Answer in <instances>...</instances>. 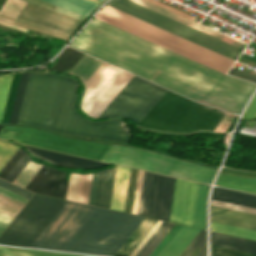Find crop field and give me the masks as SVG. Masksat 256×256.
<instances>
[{
  "label": "crop field",
  "mask_w": 256,
  "mask_h": 256,
  "mask_svg": "<svg viewBox=\"0 0 256 256\" xmlns=\"http://www.w3.org/2000/svg\"><path fill=\"white\" fill-rule=\"evenodd\" d=\"M215 184L256 193V178L220 173Z\"/></svg>",
  "instance_id": "obj_25"
},
{
  "label": "crop field",
  "mask_w": 256,
  "mask_h": 256,
  "mask_svg": "<svg viewBox=\"0 0 256 256\" xmlns=\"http://www.w3.org/2000/svg\"><path fill=\"white\" fill-rule=\"evenodd\" d=\"M24 147L34 157L46 160L56 166L76 168V169H93V168L109 165L99 161L89 160V159L80 158V157H73V156L56 153L52 151L32 148L28 146H24Z\"/></svg>",
  "instance_id": "obj_16"
},
{
  "label": "crop field",
  "mask_w": 256,
  "mask_h": 256,
  "mask_svg": "<svg viewBox=\"0 0 256 256\" xmlns=\"http://www.w3.org/2000/svg\"><path fill=\"white\" fill-rule=\"evenodd\" d=\"M198 183L176 178L169 221L190 225Z\"/></svg>",
  "instance_id": "obj_14"
},
{
  "label": "crop field",
  "mask_w": 256,
  "mask_h": 256,
  "mask_svg": "<svg viewBox=\"0 0 256 256\" xmlns=\"http://www.w3.org/2000/svg\"><path fill=\"white\" fill-rule=\"evenodd\" d=\"M3 126H0V130L2 129Z\"/></svg>",
  "instance_id": "obj_64"
},
{
  "label": "crop field",
  "mask_w": 256,
  "mask_h": 256,
  "mask_svg": "<svg viewBox=\"0 0 256 256\" xmlns=\"http://www.w3.org/2000/svg\"><path fill=\"white\" fill-rule=\"evenodd\" d=\"M24 151L20 147L19 150L14 154V156L9 160V162L4 166V168L0 171V177L5 178L8 172L12 169V167L16 164L19 158L23 155Z\"/></svg>",
  "instance_id": "obj_43"
},
{
  "label": "crop field",
  "mask_w": 256,
  "mask_h": 256,
  "mask_svg": "<svg viewBox=\"0 0 256 256\" xmlns=\"http://www.w3.org/2000/svg\"><path fill=\"white\" fill-rule=\"evenodd\" d=\"M92 174H85L83 178L82 192L80 202L86 203L88 201L90 183H91Z\"/></svg>",
  "instance_id": "obj_47"
},
{
  "label": "crop field",
  "mask_w": 256,
  "mask_h": 256,
  "mask_svg": "<svg viewBox=\"0 0 256 256\" xmlns=\"http://www.w3.org/2000/svg\"><path fill=\"white\" fill-rule=\"evenodd\" d=\"M41 166L29 162L22 172L15 178L13 183L25 188L33 176L37 173Z\"/></svg>",
  "instance_id": "obj_35"
},
{
  "label": "crop field",
  "mask_w": 256,
  "mask_h": 256,
  "mask_svg": "<svg viewBox=\"0 0 256 256\" xmlns=\"http://www.w3.org/2000/svg\"><path fill=\"white\" fill-rule=\"evenodd\" d=\"M224 115L225 112L168 90L138 125L151 130L179 133L213 131Z\"/></svg>",
  "instance_id": "obj_5"
},
{
  "label": "crop field",
  "mask_w": 256,
  "mask_h": 256,
  "mask_svg": "<svg viewBox=\"0 0 256 256\" xmlns=\"http://www.w3.org/2000/svg\"><path fill=\"white\" fill-rule=\"evenodd\" d=\"M173 225V223L167 222L166 225L161 229V231L157 234V236L153 239V241L148 245V247L140 256H149L151 252L156 248V246L160 243V241L164 238V236L173 227Z\"/></svg>",
  "instance_id": "obj_39"
},
{
  "label": "crop field",
  "mask_w": 256,
  "mask_h": 256,
  "mask_svg": "<svg viewBox=\"0 0 256 256\" xmlns=\"http://www.w3.org/2000/svg\"><path fill=\"white\" fill-rule=\"evenodd\" d=\"M142 219L96 207L62 250L113 256Z\"/></svg>",
  "instance_id": "obj_3"
},
{
  "label": "crop field",
  "mask_w": 256,
  "mask_h": 256,
  "mask_svg": "<svg viewBox=\"0 0 256 256\" xmlns=\"http://www.w3.org/2000/svg\"><path fill=\"white\" fill-rule=\"evenodd\" d=\"M256 118V94L251 100L245 114L243 115L242 120H247V119H253Z\"/></svg>",
  "instance_id": "obj_48"
},
{
  "label": "crop field",
  "mask_w": 256,
  "mask_h": 256,
  "mask_svg": "<svg viewBox=\"0 0 256 256\" xmlns=\"http://www.w3.org/2000/svg\"><path fill=\"white\" fill-rule=\"evenodd\" d=\"M132 77L131 74L102 62L83 83L81 110L96 118Z\"/></svg>",
  "instance_id": "obj_11"
},
{
  "label": "crop field",
  "mask_w": 256,
  "mask_h": 256,
  "mask_svg": "<svg viewBox=\"0 0 256 256\" xmlns=\"http://www.w3.org/2000/svg\"><path fill=\"white\" fill-rule=\"evenodd\" d=\"M77 87L69 77L30 73L17 124L129 143L132 134L123 120L90 122L75 110Z\"/></svg>",
  "instance_id": "obj_2"
},
{
  "label": "crop field",
  "mask_w": 256,
  "mask_h": 256,
  "mask_svg": "<svg viewBox=\"0 0 256 256\" xmlns=\"http://www.w3.org/2000/svg\"><path fill=\"white\" fill-rule=\"evenodd\" d=\"M12 75L13 74H9V75H5V77H4V81H3V85H2V89H1V93H0V122H1L2 114H3L6 98L8 95Z\"/></svg>",
  "instance_id": "obj_40"
},
{
  "label": "crop field",
  "mask_w": 256,
  "mask_h": 256,
  "mask_svg": "<svg viewBox=\"0 0 256 256\" xmlns=\"http://www.w3.org/2000/svg\"><path fill=\"white\" fill-rule=\"evenodd\" d=\"M0 19H1V20H4V21H7V22H9V23H12V21H9V20H7V19L1 18V17H0Z\"/></svg>",
  "instance_id": "obj_60"
},
{
  "label": "crop field",
  "mask_w": 256,
  "mask_h": 256,
  "mask_svg": "<svg viewBox=\"0 0 256 256\" xmlns=\"http://www.w3.org/2000/svg\"><path fill=\"white\" fill-rule=\"evenodd\" d=\"M2 6H0V8H1Z\"/></svg>",
  "instance_id": "obj_65"
},
{
  "label": "crop field",
  "mask_w": 256,
  "mask_h": 256,
  "mask_svg": "<svg viewBox=\"0 0 256 256\" xmlns=\"http://www.w3.org/2000/svg\"><path fill=\"white\" fill-rule=\"evenodd\" d=\"M102 161L210 183L215 169L196 165L150 151L112 145Z\"/></svg>",
  "instance_id": "obj_6"
},
{
  "label": "crop field",
  "mask_w": 256,
  "mask_h": 256,
  "mask_svg": "<svg viewBox=\"0 0 256 256\" xmlns=\"http://www.w3.org/2000/svg\"><path fill=\"white\" fill-rule=\"evenodd\" d=\"M28 74L29 73L21 74V78H20V82H19V86H18V90H17V94H16V98H15V102H14V106H13V110H12V114H11L9 123L16 124V122H17V118H18V114H19V110H20V106H21V102H22V98H23V94H24V90H25V86H26V82H27V78H28Z\"/></svg>",
  "instance_id": "obj_33"
},
{
  "label": "crop field",
  "mask_w": 256,
  "mask_h": 256,
  "mask_svg": "<svg viewBox=\"0 0 256 256\" xmlns=\"http://www.w3.org/2000/svg\"><path fill=\"white\" fill-rule=\"evenodd\" d=\"M64 9L70 10L77 14L87 17L98 5L90 0H43Z\"/></svg>",
  "instance_id": "obj_26"
},
{
  "label": "crop field",
  "mask_w": 256,
  "mask_h": 256,
  "mask_svg": "<svg viewBox=\"0 0 256 256\" xmlns=\"http://www.w3.org/2000/svg\"><path fill=\"white\" fill-rule=\"evenodd\" d=\"M70 46L199 102L236 114L256 87L95 18Z\"/></svg>",
  "instance_id": "obj_1"
},
{
  "label": "crop field",
  "mask_w": 256,
  "mask_h": 256,
  "mask_svg": "<svg viewBox=\"0 0 256 256\" xmlns=\"http://www.w3.org/2000/svg\"><path fill=\"white\" fill-rule=\"evenodd\" d=\"M115 169L116 166L93 174L88 204L109 208Z\"/></svg>",
  "instance_id": "obj_17"
},
{
  "label": "crop field",
  "mask_w": 256,
  "mask_h": 256,
  "mask_svg": "<svg viewBox=\"0 0 256 256\" xmlns=\"http://www.w3.org/2000/svg\"><path fill=\"white\" fill-rule=\"evenodd\" d=\"M144 171L139 170L132 213L137 214Z\"/></svg>",
  "instance_id": "obj_45"
},
{
  "label": "crop field",
  "mask_w": 256,
  "mask_h": 256,
  "mask_svg": "<svg viewBox=\"0 0 256 256\" xmlns=\"http://www.w3.org/2000/svg\"><path fill=\"white\" fill-rule=\"evenodd\" d=\"M156 221L155 219L144 218L114 256H129Z\"/></svg>",
  "instance_id": "obj_23"
},
{
  "label": "crop field",
  "mask_w": 256,
  "mask_h": 256,
  "mask_svg": "<svg viewBox=\"0 0 256 256\" xmlns=\"http://www.w3.org/2000/svg\"><path fill=\"white\" fill-rule=\"evenodd\" d=\"M213 256H255L212 246Z\"/></svg>",
  "instance_id": "obj_46"
},
{
  "label": "crop field",
  "mask_w": 256,
  "mask_h": 256,
  "mask_svg": "<svg viewBox=\"0 0 256 256\" xmlns=\"http://www.w3.org/2000/svg\"><path fill=\"white\" fill-rule=\"evenodd\" d=\"M100 1H102V0H100Z\"/></svg>",
  "instance_id": "obj_66"
},
{
  "label": "crop field",
  "mask_w": 256,
  "mask_h": 256,
  "mask_svg": "<svg viewBox=\"0 0 256 256\" xmlns=\"http://www.w3.org/2000/svg\"><path fill=\"white\" fill-rule=\"evenodd\" d=\"M13 25H17V26H20V27H24V28L35 30V31H38V32H42V33H46V34H49V35H53V36H56V37H59V38L65 39V40L68 39V37L61 36V35H58V34H55V33H52V32H48V31L36 28V27H32V26H29V25H26V24H23V23H19V22H16V21H14Z\"/></svg>",
  "instance_id": "obj_53"
},
{
  "label": "crop field",
  "mask_w": 256,
  "mask_h": 256,
  "mask_svg": "<svg viewBox=\"0 0 256 256\" xmlns=\"http://www.w3.org/2000/svg\"><path fill=\"white\" fill-rule=\"evenodd\" d=\"M0 256H87V255L0 247Z\"/></svg>",
  "instance_id": "obj_30"
},
{
  "label": "crop field",
  "mask_w": 256,
  "mask_h": 256,
  "mask_svg": "<svg viewBox=\"0 0 256 256\" xmlns=\"http://www.w3.org/2000/svg\"><path fill=\"white\" fill-rule=\"evenodd\" d=\"M45 171H47V173H45ZM66 173L67 172L42 166L27 187H25L33 192L66 199L68 187Z\"/></svg>",
  "instance_id": "obj_15"
},
{
  "label": "crop field",
  "mask_w": 256,
  "mask_h": 256,
  "mask_svg": "<svg viewBox=\"0 0 256 256\" xmlns=\"http://www.w3.org/2000/svg\"><path fill=\"white\" fill-rule=\"evenodd\" d=\"M6 0H0V4L3 5V3L5 2ZM5 4V3H4Z\"/></svg>",
  "instance_id": "obj_61"
},
{
  "label": "crop field",
  "mask_w": 256,
  "mask_h": 256,
  "mask_svg": "<svg viewBox=\"0 0 256 256\" xmlns=\"http://www.w3.org/2000/svg\"><path fill=\"white\" fill-rule=\"evenodd\" d=\"M95 18L148 40L170 51L210 67L223 74L233 60L129 16L109 6L102 8Z\"/></svg>",
  "instance_id": "obj_4"
},
{
  "label": "crop field",
  "mask_w": 256,
  "mask_h": 256,
  "mask_svg": "<svg viewBox=\"0 0 256 256\" xmlns=\"http://www.w3.org/2000/svg\"><path fill=\"white\" fill-rule=\"evenodd\" d=\"M11 221L12 219H9L0 215V234L10 224Z\"/></svg>",
  "instance_id": "obj_56"
},
{
  "label": "crop field",
  "mask_w": 256,
  "mask_h": 256,
  "mask_svg": "<svg viewBox=\"0 0 256 256\" xmlns=\"http://www.w3.org/2000/svg\"><path fill=\"white\" fill-rule=\"evenodd\" d=\"M29 4V3H28ZM28 4H26V7H30V8H34V9H37V10H41V11H45V12H48V13H51V14H53V12L52 11H50V10H46V9H43V8H39V7H36V6H32V5H28ZM26 7H24V9H27V10H30V11H33V12H37V13H40V14H43V15H46V16H49V17H51V14H48V13H45V12H41V11H37V10H34V9H30V8H26ZM23 9V10H24ZM27 10H25V11H27ZM29 11V12H30ZM22 13H25V14H28V15H32V16H35V17H38V18H41V19H44V20H48V21H51V22H54V23H57V24H60V25H63V26H67V27H70V28H73V29H75V27L79 24V22H81V21H79V20H77V19H75V18H73V17H70V16H66V15H63V14H60V13H56V12H54V15H58V16H61V17H65V18H68V19H72V20H75V21H79V22H75V21H72V20H68V19H65V18H61V17H58V16H54L53 15V17H57V18H60V19H64V20H67V21H71V22H74V23H78L75 27H72V26H68V25H65V24H62V23H59V22H55V21H52V20H49V19H46V18H43V17H39V16H36V15H33V14H30V13H26V12H23V11H21ZM32 12V13H33ZM22 13H20V15H23V16H27V17H30V18H33V19H36V20H39V21H43V22H46V23H49V24H52V25H56V26H60V25H57V24H54V23H51V22H47V21H44V20H41V19H38V18H35V17H32V16H28V15H25V14H22ZM36 14V13H35ZM39 14V15H40ZM20 15H18V18H22V19H25V20H28V21H32V22H35V23H38V24H42V25H45V26H49V27H52V28H58L59 30H63V31H66V32H70V33H72V30H68V29H70V28H68V29H64V28H67V27H64V28H60V27H63V26H60V27H56V26H52V25H49V24H46V23H42V22H39V21H36V20H33V19H30V18H26V17H23V16H20ZM42 15V16H43ZM45 16V17H46ZM52 17V18H53ZM56 18V19H57ZM59 19V20H60ZM63 20V21H64ZM62 21V22H63ZM66 21V22H67ZM73 23V24H74ZM72 24V25H73Z\"/></svg>",
  "instance_id": "obj_24"
},
{
  "label": "crop field",
  "mask_w": 256,
  "mask_h": 256,
  "mask_svg": "<svg viewBox=\"0 0 256 256\" xmlns=\"http://www.w3.org/2000/svg\"><path fill=\"white\" fill-rule=\"evenodd\" d=\"M161 223L162 221H157V223L153 226V228L149 231V233L145 236V238L142 240V242L138 245V247L130 256H135V254L140 250V248L145 244V242L150 238V236L155 232V230L160 226Z\"/></svg>",
  "instance_id": "obj_52"
},
{
  "label": "crop field",
  "mask_w": 256,
  "mask_h": 256,
  "mask_svg": "<svg viewBox=\"0 0 256 256\" xmlns=\"http://www.w3.org/2000/svg\"><path fill=\"white\" fill-rule=\"evenodd\" d=\"M130 171L131 169L129 168L117 166L111 205H110L111 209H115L123 212L127 188H128V182L130 177ZM122 173H124L123 181H122ZM121 181H122V184H121Z\"/></svg>",
  "instance_id": "obj_21"
},
{
  "label": "crop field",
  "mask_w": 256,
  "mask_h": 256,
  "mask_svg": "<svg viewBox=\"0 0 256 256\" xmlns=\"http://www.w3.org/2000/svg\"><path fill=\"white\" fill-rule=\"evenodd\" d=\"M20 74L21 73H16V74L13 75V79H12V83H11V87H10V91H9V95H8V99H7V102H6V106H5V110H4V114H3V118H2L1 123H8L9 122V118H10V114H11V110H12V106H13V102H14V98H15V94H16Z\"/></svg>",
  "instance_id": "obj_34"
},
{
  "label": "crop field",
  "mask_w": 256,
  "mask_h": 256,
  "mask_svg": "<svg viewBox=\"0 0 256 256\" xmlns=\"http://www.w3.org/2000/svg\"><path fill=\"white\" fill-rule=\"evenodd\" d=\"M166 91L163 87L133 76L97 118L126 117L138 124Z\"/></svg>",
  "instance_id": "obj_10"
},
{
  "label": "crop field",
  "mask_w": 256,
  "mask_h": 256,
  "mask_svg": "<svg viewBox=\"0 0 256 256\" xmlns=\"http://www.w3.org/2000/svg\"><path fill=\"white\" fill-rule=\"evenodd\" d=\"M108 5L227 56L233 60L242 50L207 34L174 21L158 12L129 0H113ZM240 55V54H239ZM237 59V58H236Z\"/></svg>",
  "instance_id": "obj_9"
},
{
  "label": "crop field",
  "mask_w": 256,
  "mask_h": 256,
  "mask_svg": "<svg viewBox=\"0 0 256 256\" xmlns=\"http://www.w3.org/2000/svg\"><path fill=\"white\" fill-rule=\"evenodd\" d=\"M0 139L11 140L97 160H100L111 146L109 144L66 138L28 127L15 126H4L0 131Z\"/></svg>",
  "instance_id": "obj_8"
},
{
  "label": "crop field",
  "mask_w": 256,
  "mask_h": 256,
  "mask_svg": "<svg viewBox=\"0 0 256 256\" xmlns=\"http://www.w3.org/2000/svg\"><path fill=\"white\" fill-rule=\"evenodd\" d=\"M3 76H4V75H1V76H0V88H1L2 80H3Z\"/></svg>",
  "instance_id": "obj_58"
},
{
  "label": "crop field",
  "mask_w": 256,
  "mask_h": 256,
  "mask_svg": "<svg viewBox=\"0 0 256 256\" xmlns=\"http://www.w3.org/2000/svg\"><path fill=\"white\" fill-rule=\"evenodd\" d=\"M207 186L200 185L198 187L194 217L192 226L198 228H204V221H205V203H206V196L208 192Z\"/></svg>",
  "instance_id": "obj_28"
},
{
  "label": "crop field",
  "mask_w": 256,
  "mask_h": 256,
  "mask_svg": "<svg viewBox=\"0 0 256 256\" xmlns=\"http://www.w3.org/2000/svg\"><path fill=\"white\" fill-rule=\"evenodd\" d=\"M83 55L82 52L66 47L50 69L68 73Z\"/></svg>",
  "instance_id": "obj_27"
},
{
  "label": "crop field",
  "mask_w": 256,
  "mask_h": 256,
  "mask_svg": "<svg viewBox=\"0 0 256 256\" xmlns=\"http://www.w3.org/2000/svg\"><path fill=\"white\" fill-rule=\"evenodd\" d=\"M174 181L145 172L138 215L168 221Z\"/></svg>",
  "instance_id": "obj_13"
},
{
  "label": "crop field",
  "mask_w": 256,
  "mask_h": 256,
  "mask_svg": "<svg viewBox=\"0 0 256 256\" xmlns=\"http://www.w3.org/2000/svg\"><path fill=\"white\" fill-rule=\"evenodd\" d=\"M16 21L23 22V23H26V24H29V25H32V26H36V27H39V28H42V29H45V30H48V31H52V32H55V33H58V34H61V35H65V36H68V37L70 35L69 33H65V32H62V31H59V30L48 28V27L38 25V24H35V23H32V22H28V21H25V20H22V19L16 18Z\"/></svg>",
  "instance_id": "obj_55"
},
{
  "label": "crop field",
  "mask_w": 256,
  "mask_h": 256,
  "mask_svg": "<svg viewBox=\"0 0 256 256\" xmlns=\"http://www.w3.org/2000/svg\"><path fill=\"white\" fill-rule=\"evenodd\" d=\"M65 202L35 194L2 234L0 244L30 247Z\"/></svg>",
  "instance_id": "obj_7"
},
{
  "label": "crop field",
  "mask_w": 256,
  "mask_h": 256,
  "mask_svg": "<svg viewBox=\"0 0 256 256\" xmlns=\"http://www.w3.org/2000/svg\"><path fill=\"white\" fill-rule=\"evenodd\" d=\"M211 204L256 214V210L255 209L245 208V207L231 205V204L222 203V202H217V201H213V200H211Z\"/></svg>",
  "instance_id": "obj_50"
},
{
  "label": "crop field",
  "mask_w": 256,
  "mask_h": 256,
  "mask_svg": "<svg viewBox=\"0 0 256 256\" xmlns=\"http://www.w3.org/2000/svg\"><path fill=\"white\" fill-rule=\"evenodd\" d=\"M212 245L256 255V241L211 231Z\"/></svg>",
  "instance_id": "obj_20"
},
{
  "label": "crop field",
  "mask_w": 256,
  "mask_h": 256,
  "mask_svg": "<svg viewBox=\"0 0 256 256\" xmlns=\"http://www.w3.org/2000/svg\"><path fill=\"white\" fill-rule=\"evenodd\" d=\"M94 208L67 201L31 247L61 250Z\"/></svg>",
  "instance_id": "obj_12"
},
{
  "label": "crop field",
  "mask_w": 256,
  "mask_h": 256,
  "mask_svg": "<svg viewBox=\"0 0 256 256\" xmlns=\"http://www.w3.org/2000/svg\"><path fill=\"white\" fill-rule=\"evenodd\" d=\"M211 199L256 209L255 195L241 193L220 187H214Z\"/></svg>",
  "instance_id": "obj_22"
},
{
  "label": "crop field",
  "mask_w": 256,
  "mask_h": 256,
  "mask_svg": "<svg viewBox=\"0 0 256 256\" xmlns=\"http://www.w3.org/2000/svg\"><path fill=\"white\" fill-rule=\"evenodd\" d=\"M13 1H17V2H20V3H23V4L26 3L25 1H22V0H13Z\"/></svg>",
  "instance_id": "obj_59"
},
{
  "label": "crop field",
  "mask_w": 256,
  "mask_h": 256,
  "mask_svg": "<svg viewBox=\"0 0 256 256\" xmlns=\"http://www.w3.org/2000/svg\"><path fill=\"white\" fill-rule=\"evenodd\" d=\"M0 186L5 188V189H8V190H10L12 192H15V193H17V194H19L21 196H24V197H26L28 199H30V197L33 194L32 192H30L28 190H25V189H23L21 187H18L16 185H14V184L6 182V181H4L2 179H0Z\"/></svg>",
  "instance_id": "obj_42"
},
{
  "label": "crop field",
  "mask_w": 256,
  "mask_h": 256,
  "mask_svg": "<svg viewBox=\"0 0 256 256\" xmlns=\"http://www.w3.org/2000/svg\"><path fill=\"white\" fill-rule=\"evenodd\" d=\"M0 16H2V15H0ZM2 17H4V18H7V19H10V18H8V17H5V16H2ZM10 20H12V21H13V19H10Z\"/></svg>",
  "instance_id": "obj_62"
},
{
  "label": "crop field",
  "mask_w": 256,
  "mask_h": 256,
  "mask_svg": "<svg viewBox=\"0 0 256 256\" xmlns=\"http://www.w3.org/2000/svg\"><path fill=\"white\" fill-rule=\"evenodd\" d=\"M31 158L25 152L21 159L17 162V164L13 167L10 173L6 176L5 180L10 182L18 175V173L23 169V167L28 163Z\"/></svg>",
  "instance_id": "obj_41"
},
{
  "label": "crop field",
  "mask_w": 256,
  "mask_h": 256,
  "mask_svg": "<svg viewBox=\"0 0 256 256\" xmlns=\"http://www.w3.org/2000/svg\"><path fill=\"white\" fill-rule=\"evenodd\" d=\"M211 230L256 240V232L211 222Z\"/></svg>",
  "instance_id": "obj_31"
},
{
  "label": "crop field",
  "mask_w": 256,
  "mask_h": 256,
  "mask_svg": "<svg viewBox=\"0 0 256 256\" xmlns=\"http://www.w3.org/2000/svg\"><path fill=\"white\" fill-rule=\"evenodd\" d=\"M228 74L256 83V75L231 68Z\"/></svg>",
  "instance_id": "obj_49"
},
{
  "label": "crop field",
  "mask_w": 256,
  "mask_h": 256,
  "mask_svg": "<svg viewBox=\"0 0 256 256\" xmlns=\"http://www.w3.org/2000/svg\"><path fill=\"white\" fill-rule=\"evenodd\" d=\"M93 1L100 3V1H98V0H93Z\"/></svg>",
  "instance_id": "obj_63"
},
{
  "label": "crop field",
  "mask_w": 256,
  "mask_h": 256,
  "mask_svg": "<svg viewBox=\"0 0 256 256\" xmlns=\"http://www.w3.org/2000/svg\"><path fill=\"white\" fill-rule=\"evenodd\" d=\"M27 1H30V2H32V3H34V4H36V5H39V6H42V7H45V8H47V9H51V10H52V8L47 7V6H44V5H42V4H39V3H37V2H34V1H32V0H27ZM53 11H56V12H60V13H63V14H67V15L73 16V17H75V18H77V19H79V20H81V21H83V20L85 19V17H83V16L77 15V14H75V13H72V12H70V11L64 10V9H62V8L56 7V8H54Z\"/></svg>",
  "instance_id": "obj_51"
},
{
  "label": "crop field",
  "mask_w": 256,
  "mask_h": 256,
  "mask_svg": "<svg viewBox=\"0 0 256 256\" xmlns=\"http://www.w3.org/2000/svg\"><path fill=\"white\" fill-rule=\"evenodd\" d=\"M166 222H163L161 226L156 230V232L151 236V238L146 242V244L141 248V250L136 254V256H139L143 250L147 247V245L151 242V240L156 236V234L160 231V229L165 225Z\"/></svg>",
  "instance_id": "obj_57"
},
{
  "label": "crop field",
  "mask_w": 256,
  "mask_h": 256,
  "mask_svg": "<svg viewBox=\"0 0 256 256\" xmlns=\"http://www.w3.org/2000/svg\"><path fill=\"white\" fill-rule=\"evenodd\" d=\"M83 175L71 174L67 199L79 202Z\"/></svg>",
  "instance_id": "obj_37"
},
{
  "label": "crop field",
  "mask_w": 256,
  "mask_h": 256,
  "mask_svg": "<svg viewBox=\"0 0 256 256\" xmlns=\"http://www.w3.org/2000/svg\"><path fill=\"white\" fill-rule=\"evenodd\" d=\"M199 231V229L182 226L158 256H180Z\"/></svg>",
  "instance_id": "obj_19"
},
{
  "label": "crop field",
  "mask_w": 256,
  "mask_h": 256,
  "mask_svg": "<svg viewBox=\"0 0 256 256\" xmlns=\"http://www.w3.org/2000/svg\"><path fill=\"white\" fill-rule=\"evenodd\" d=\"M100 63L101 61L85 54L69 73L78 76L83 83Z\"/></svg>",
  "instance_id": "obj_29"
},
{
  "label": "crop field",
  "mask_w": 256,
  "mask_h": 256,
  "mask_svg": "<svg viewBox=\"0 0 256 256\" xmlns=\"http://www.w3.org/2000/svg\"><path fill=\"white\" fill-rule=\"evenodd\" d=\"M204 233L201 230L181 256H204Z\"/></svg>",
  "instance_id": "obj_36"
},
{
  "label": "crop field",
  "mask_w": 256,
  "mask_h": 256,
  "mask_svg": "<svg viewBox=\"0 0 256 256\" xmlns=\"http://www.w3.org/2000/svg\"><path fill=\"white\" fill-rule=\"evenodd\" d=\"M211 221L256 231V215L213 205Z\"/></svg>",
  "instance_id": "obj_18"
},
{
  "label": "crop field",
  "mask_w": 256,
  "mask_h": 256,
  "mask_svg": "<svg viewBox=\"0 0 256 256\" xmlns=\"http://www.w3.org/2000/svg\"><path fill=\"white\" fill-rule=\"evenodd\" d=\"M0 194H3L5 196H7V197H10V198H12V199H14L16 201H19V202H21L23 204H25L28 201V199H26L24 197H21V196H19L17 194H14V193H12L10 191H7V190H5L3 188H0Z\"/></svg>",
  "instance_id": "obj_54"
},
{
  "label": "crop field",
  "mask_w": 256,
  "mask_h": 256,
  "mask_svg": "<svg viewBox=\"0 0 256 256\" xmlns=\"http://www.w3.org/2000/svg\"><path fill=\"white\" fill-rule=\"evenodd\" d=\"M9 2H12V3H14V4L20 5V6H22V7L24 6L23 4L16 3V2H13V1H10V0H9ZM9 2L6 3L5 7H8V8H10V9L16 10V11H18V12L21 11L22 7H19V6H17V5L11 4V3H9ZM5 7H3V9H2L1 12H0V14H3V15H5V16H8V17H11V18L15 19V17L18 15V12H15V11H13V10L7 9V8H5Z\"/></svg>",
  "instance_id": "obj_44"
},
{
  "label": "crop field",
  "mask_w": 256,
  "mask_h": 256,
  "mask_svg": "<svg viewBox=\"0 0 256 256\" xmlns=\"http://www.w3.org/2000/svg\"><path fill=\"white\" fill-rule=\"evenodd\" d=\"M23 204L10 198L0 195V214L14 219L16 214L22 208ZM24 207V206H23Z\"/></svg>",
  "instance_id": "obj_32"
},
{
  "label": "crop field",
  "mask_w": 256,
  "mask_h": 256,
  "mask_svg": "<svg viewBox=\"0 0 256 256\" xmlns=\"http://www.w3.org/2000/svg\"><path fill=\"white\" fill-rule=\"evenodd\" d=\"M18 148L19 146L13 143L0 141V170L17 151Z\"/></svg>",
  "instance_id": "obj_38"
}]
</instances>
